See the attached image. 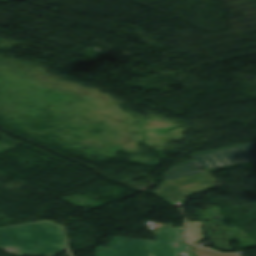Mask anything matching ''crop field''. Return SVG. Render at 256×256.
Listing matches in <instances>:
<instances>
[{
	"mask_svg": "<svg viewBox=\"0 0 256 256\" xmlns=\"http://www.w3.org/2000/svg\"><path fill=\"white\" fill-rule=\"evenodd\" d=\"M18 246L21 255L51 256L65 248L60 227L48 222L0 229V247Z\"/></svg>",
	"mask_w": 256,
	"mask_h": 256,
	"instance_id": "obj_1",
	"label": "crop field"
},
{
	"mask_svg": "<svg viewBox=\"0 0 256 256\" xmlns=\"http://www.w3.org/2000/svg\"><path fill=\"white\" fill-rule=\"evenodd\" d=\"M194 253H196L198 256H238L236 254H218L206 249H194Z\"/></svg>",
	"mask_w": 256,
	"mask_h": 256,
	"instance_id": "obj_6",
	"label": "crop field"
},
{
	"mask_svg": "<svg viewBox=\"0 0 256 256\" xmlns=\"http://www.w3.org/2000/svg\"><path fill=\"white\" fill-rule=\"evenodd\" d=\"M215 179L208 173L165 181L161 191L157 193L171 202L188 195L204 192L214 187Z\"/></svg>",
	"mask_w": 256,
	"mask_h": 256,
	"instance_id": "obj_4",
	"label": "crop field"
},
{
	"mask_svg": "<svg viewBox=\"0 0 256 256\" xmlns=\"http://www.w3.org/2000/svg\"><path fill=\"white\" fill-rule=\"evenodd\" d=\"M181 231L182 228H163L154 241L114 237L110 249H96V256H192L190 247L181 242ZM174 243L179 246L175 248Z\"/></svg>",
	"mask_w": 256,
	"mask_h": 256,
	"instance_id": "obj_2",
	"label": "crop field"
},
{
	"mask_svg": "<svg viewBox=\"0 0 256 256\" xmlns=\"http://www.w3.org/2000/svg\"><path fill=\"white\" fill-rule=\"evenodd\" d=\"M196 161L182 163L164 174V180L204 173L202 168L219 167L246 161H256V142L224 150L192 156Z\"/></svg>",
	"mask_w": 256,
	"mask_h": 256,
	"instance_id": "obj_3",
	"label": "crop field"
},
{
	"mask_svg": "<svg viewBox=\"0 0 256 256\" xmlns=\"http://www.w3.org/2000/svg\"><path fill=\"white\" fill-rule=\"evenodd\" d=\"M201 225L200 222L188 223L187 240L189 243L195 245L197 242L204 239L200 229Z\"/></svg>",
	"mask_w": 256,
	"mask_h": 256,
	"instance_id": "obj_5",
	"label": "crop field"
}]
</instances>
